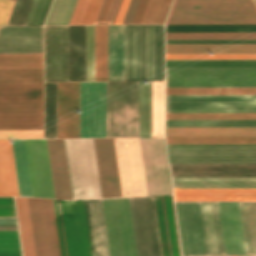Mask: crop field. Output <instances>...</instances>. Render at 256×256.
I'll list each match as a JSON object with an SVG mask.
<instances>
[{"label":"crop field","instance_id":"obj_1","mask_svg":"<svg viewBox=\"0 0 256 256\" xmlns=\"http://www.w3.org/2000/svg\"><path fill=\"white\" fill-rule=\"evenodd\" d=\"M152 199L161 256H181L172 195ZM152 199L129 198L138 256H160Z\"/></svg>","mask_w":256,"mask_h":256},{"label":"crop field","instance_id":"obj_2","mask_svg":"<svg viewBox=\"0 0 256 256\" xmlns=\"http://www.w3.org/2000/svg\"><path fill=\"white\" fill-rule=\"evenodd\" d=\"M0 129H43L42 69L0 70Z\"/></svg>","mask_w":256,"mask_h":256},{"label":"crop field","instance_id":"obj_3","mask_svg":"<svg viewBox=\"0 0 256 256\" xmlns=\"http://www.w3.org/2000/svg\"><path fill=\"white\" fill-rule=\"evenodd\" d=\"M163 80V25L124 26V81Z\"/></svg>","mask_w":256,"mask_h":256},{"label":"crop field","instance_id":"obj_4","mask_svg":"<svg viewBox=\"0 0 256 256\" xmlns=\"http://www.w3.org/2000/svg\"><path fill=\"white\" fill-rule=\"evenodd\" d=\"M166 23H256L252 0H174Z\"/></svg>","mask_w":256,"mask_h":256},{"label":"crop field","instance_id":"obj_5","mask_svg":"<svg viewBox=\"0 0 256 256\" xmlns=\"http://www.w3.org/2000/svg\"><path fill=\"white\" fill-rule=\"evenodd\" d=\"M106 137H138V82H106Z\"/></svg>","mask_w":256,"mask_h":256},{"label":"crop field","instance_id":"obj_6","mask_svg":"<svg viewBox=\"0 0 256 256\" xmlns=\"http://www.w3.org/2000/svg\"><path fill=\"white\" fill-rule=\"evenodd\" d=\"M61 256H93L84 200H53Z\"/></svg>","mask_w":256,"mask_h":256},{"label":"crop field","instance_id":"obj_7","mask_svg":"<svg viewBox=\"0 0 256 256\" xmlns=\"http://www.w3.org/2000/svg\"><path fill=\"white\" fill-rule=\"evenodd\" d=\"M166 87H256V68H166Z\"/></svg>","mask_w":256,"mask_h":256},{"label":"crop field","instance_id":"obj_8","mask_svg":"<svg viewBox=\"0 0 256 256\" xmlns=\"http://www.w3.org/2000/svg\"><path fill=\"white\" fill-rule=\"evenodd\" d=\"M73 199L101 198L92 139H64Z\"/></svg>","mask_w":256,"mask_h":256},{"label":"crop field","instance_id":"obj_9","mask_svg":"<svg viewBox=\"0 0 256 256\" xmlns=\"http://www.w3.org/2000/svg\"><path fill=\"white\" fill-rule=\"evenodd\" d=\"M169 163H256V145H167Z\"/></svg>","mask_w":256,"mask_h":256},{"label":"crop field","instance_id":"obj_10","mask_svg":"<svg viewBox=\"0 0 256 256\" xmlns=\"http://www.w3.org/2000/svg\"><path fill=\"white\" fill-rule=\"evenodd\" d=\"M101 202L110 256H137L128 198Z\"/></svg>","mask_w":256,"mask_h":256},{"label":"crop field","instance_id":"obj_11","mask_svg":"<svg viewBox=\"0 0 256 256\" xmlns=\"http://www.w3.org/2000/svg\"><path fill=\"white\" fill-rule=\"evenodd\" d=\"M166 112H256V95L166 96Z\"/></svg>","mask_w":256,"mask_h":256},{"label":"crop field","instance_id":"obj_12","mask_svg":"<svg viewBox=\"0 0 256 256\" xmlns=\"http://www.w3.org/2000/svg\"><path fill=\"white\" fill-rule=\"evenodd\" d=\"M35 256H60L52 200L27 198Z\"/></svg>","mask_w":256,"mask_h":256},{"label":"crop field","instance_id":"obj_13","mask_svg":"<svg viewBox=\"0 0 256 256\" xmlns=\"http://www.w3.org/2000/svg\"><path fill=\"white\" fill-rule=\"evenodd\" d=\"M80 138L105 137V82L80 83Z\"/></svg>","mask_w":256,"mask_h":256},{"label":"crop field","instance_id":"obj_14","mask_svg":"<svg viewBox=\"0 0 256 256\" xmlns=\"http://www.w3.org/2000/svg\"><path fill=\"white\" fill-rule=\"evenodd\" d=\"M147 194L172 193L164 139H139Z\"/></svg>","mask_w":256,"mask_h":256},{"label":"crop field","instance_id":"obj_15","mask_svg":"<svg viewBox=\"0 0 256 256\" xmlns=\"http://www.w3.org/2000/svg\"><path fill=\"white\" fill-rule=\"evenodd\" d=\"M122 196L146 195L138 139H114Z\"/></svg>","mask_w":256,"mask_h":256},{"label":"crop field","instance_id":"obj_16","mask_svg":"<svg viewBox=\"0 0 256 256\" xmlns=\"http://www.w3.org/2000/svg\"><path fill=\"white\" fill-rule=\"evenodd\" d=\"M32 196L54 198L45 140H24Z\"/></svg>","mask_w":256,"mask_h":256},{"label":"crop field","instance_id":"obj_17","mask_svg":"<svg viewBox=\"0 0 256 256\" xmlns=\"http://www.w3.org/2000/svg\"><path fill=\"white\" fill-rule=\"evenodd\" d=\"M45 81H67V26H45Z\"/></svg>","mask_w":256,"mask_h":256},{"label":"crop field","instance_id":"obj_18","mask_svg":"<svg viewBox=\"0 0 256 256\" xmlns=\"http://www.w3.org/2000/svg\"><path fill=\"white\" fill-rule=\"evenodd\" d=\"M79 83H58V138H79Z\"/></svg>","mask_w":256,"mask_h":256},{"label":"crop field","instance_id":"obj_19","mask_svg":"<svg viewBox=\"0 0 256 256\" xmlns=\"http://www.w3.org/2000/svg\"><path fill=\"white\" fill-rule=\"evenodd\" d=\"M102 198L120 197L113 139H93Z\"/></svg>","mask_w":256,"mask_h":256},{"label":"crop field","instance_id":"obj_20","mask_svg":"<svg viewBox=\"0 0 256 256\" xmlns=\"http://www.w3.org/2000/svg\"><path fill=\"white\" fill-rule=\"evenodd\" d=\"M171 177H256V164H169Z\"/></svg>","mask_w":256,"mask_h":256},{"label":"crop field","instance_id":"obj_21","mask_svg":"<svg viewBox=\"0 0 256 256\" xmlns=\"http://www.w3.org/2000/svg\"><path fill=\"white\" fill-rule=\"evenodd\" d=\"M0 53H42V26L0 27Z\"/></svg>","mask_w":256,"mask_h":256},{"label":"crop field","instance_id":"obj_22","mask_svg":"<svg viewBox=\"0 0 256 256\" xmlns=\"http://www.w3.org/2000/svg\"><path fill=\"white\" fill-rule=\"evenodd\" d=\"M226 255L245 254L238 202H218Z\"/></svg>","mask_w":256,"mask_h":256},{"label":"crop field","instance_id":"obj_23","mask_svg":"<svg viewBox=\"0 0 256 256\" xmlns=\"http://www.w3.org/2000/svg\"><path fill=\"white\" fill-rule=\"evenodd\" d=\"M46 143L55 198L72 199L63 139Z\"/></svg>","mask_w":256,"mask_h":256},{"label":"crop field","instance_id":"obj_24","mask_svg":"<svg viewBox=\"0 0 256 256\" xmlns=\"http://www.w3.org/2000/svg\"><path fill=\"white\" fill-rule=\"evenodd\" d=\"M175 201H256V189H173Z\"/></svg>","mask_w":256,"mask_h":256},{"label":"crop field","instance_id":"obj_25","mask_svg":"<svg viewBox=\"0 0 256 256\" xmlns=\"http://www.w3.org/2000/svg\"><path fill=\"white\" fill-rule=\"evenodd\" d=\"M207 255H225L217 202H199Z\"/></svg>","mask_w":256,"mask_h":256},{"label":"crop field","instance_id":"obj_26","mask_svg":"<svg viewBox=\"0 0 256 256\" xmlns=\"http://www.w3.org/2000/svg\"><path fill=\"white\" fill-rule=\"evenodd\" d=\"M189 256L206 255L198 202H181Z\"/></svg>","mask_w":256,"mask_h":256},{"label":"crop field","instance_id":"obj_27","mask_svg":"<svg viewBox=\"0 0 256 256\" xmlns=\"http://www.w3.org/2000/svg\"><path fill=\"white\" fill-rule=\"evenodd\" d=\"M94 256H109L100 199L85 200Z\"/></svg>","mask_w":256,"mask_h":256},{"label":"crop field","instance_id":"obj_28","mask_svg":"<svg viewBox=\"0 0 256 256\" xmlns=\"http://www.w3.org/2000/svg\"><path fill=\"white\" fill-rule=\"evenodd\" d=\"M173 188H256V178H171Z\"/></svg>","mask_w":256,"mask_h":256},{"label":"crop field","instance_id":"obj_29","mask_svg":"<svg viewBox=\"0 0 256 256\" xmlns=\"http://www.w3.org/2000/svg\"><path fill=\"white\" fill-rule=\"evenodd\" d=\"M108 81H123V26H108Z\"/></svg>","mask_w":256,"mask_h":256},{"label":"crop field","instance_id":"obj_30","mask_svg":"<svg viewBox=\"0 0 256 256\" xmlns=\"http://www.w3.org/2000/svg\"><path fill=\"white\" fill-rule=\"evenodd\" d=\"M10 140H0V196H19Z\"/></svg>","mask_w":256,"mask_h":256},{"label":"crop field","instance_id":"obj_31","mask_svg":"<svg viewBox=\"0 0 256 256\" xmlns=\"http://www.w3.org/2000/svg\"><path fill=\"white\" fill-rule=\"evenodd\" d=\"M166 53H256V44H166Z\"/></svg>","mask_w":256,"mask_h":256},{"label":"crop field","instance_id":"obj_32","mask_svg":"<svg viewBox=\"0 0 256 256\" xmlns=\"http://www.w3.org/2000/svg\"><path fill=\"white\" fill-rule=\"evenodd\" d=\"M172 0H140L131 24L164 23Z\"/></svg>","mask_w":256,"mask_h":256},{"label":"crop field","instance_id":"obj_33","mask_svg":"<svg viewBox=\"0 0 256 256\" xmlns=\"http://www.w3.org/2000/svg\"><path fill=\"white\" fill-rule=\"evenodd\" d=\"M166 136H256V128H166Z\"/></svg>","mask_w":256,"mask_h":256},{"label":"crop field","instance_id":"obj_34","mask_svg":"<svg viewBox=\"0 0 256 256\" xmlns=\"http://www.w3.org/2000/svg\"><path fill=\"white\" fill-rule=\"evenodd\" d=\"M246 254H256V202H239Z\"/></svg>","mask_w":256,"mask_h":256},{"label":"crop field","instance_id":"obj_35","mask_svg":"<svg viewBox=\"0 0 256 256\" xmlns=\"http://www.w3.org/2000/svg\"><path fill=\"white\" fill-rule=\"evenodd\" d=\"M95 81H107V26H95Z\"/></svg>","mask_w":256,"mask_h":256},{"label":"crop field","instance_id":"obj_36","mask_svg":"<svg viewBox=\"0 0 256 256\" xmlns=\"http://www.w3.org/2000/svg\"><path fill=\"white\" fill-rule=\"evenodd\" d=\"M139 137H151V82H139Z\"/></svg>","mask_w":256,"mask_h":256},{"label":"crop field","instance_id":"obj_37","mask_svg":"<svg viewBox=\"0 0 256 256\" xmlns=\"http://www.w3.org/2000/svg\"><path fill=\"white\" fill-rule=\"evenodd\" d=\"M166 127H256V120H166Z\"/></svg>","mask_w":256,"mask_h":256},{"label":"crop field","instance_id":"obj_38","mask_svg":"<svg viewBox=\"0 0 256 256\" xmlns=\"http://www.w3.org/2000/svg\"><path fill=\"white\" fill-rule=\"evenodd\" d=\"M166 67H256V60H166Z\"/></svg>","mask_w":256,"mask_h":256},{"label":"crop field","instance_id":"obj_39","mask_svg":"<svg viewBox=\"0 0 256 256\" xmlns=\"http://www.w3.org/2000/svg\"><path fill=\"white\" fill-rule=\"evenodd\" d=\"M167 144H256V137H166Z\"/></svg>","mask_w":256,"mask_h":256},{"label":"crop field","instance_id":"obj_40","mask_svg":"<svg viewBox=\"0 0 256 256\" xmlns=\"http://www.w3.org/2000/svg\"><path fill=\"white\" fill-rule=\"evenodd\" d=\"M20 196H31L23 140H12Z\"/></svg>","mask_w":256,"mask_h":256},{"label":"crop field","instance_id":"obj_41","mask_svg":"<svg viewBox=\"0 0 256 256\" xmlns=\"http://www.w3.org/2000/svg\"><path fill=\"white\" fill-rule=\"evenodd\" d=\"M15 199L17 204L23 254L24 256H34L27 201L24 197H18Z\"/></svg>","mask_w":256,"mask_h":256},{"label":"crop field","instance_id":"obj_42","mask_svg":"<svg viewBox=\"0 0 256 256\" xmlns=\"http://www.w3.org/2000/svg\"><path fill=\"white\" fill-rule=\"evenodd\" d=\"M152 137H163V82H152Z\"/></svg>","mask_w":256,"mask_h":256},{"label":"crop field","instance_id":"obj_43","mask_svg":"<svg viewBox=\"0 0 256 256\" xmlns=\"http://www.w3.org/2000/svg\"><path fill=\"white\" fill-rule=\"evenodd\" d=\"M42 68V54H0V69Z\"/></svg>","mask_w":256,"mask_h":256},{"label":"crop field","instance_id":"obj_44","mask_svg":"<svg viewBox=\"0 0 256 256\" xmlns=\"http://www.w3.org/2000/svg\"><path fill=\"white\" fill-rule=\"evenodd\" d=\"M256 94V88H166V95Z\"/></svg>","mask_w":256,"mask_h":256},{"label":"crop field","instance_id":"obj_45","mask_svg":"<svg viewBox=\"0 0 256 256\" xmlns=\"http://www.w3.org/2000/svg\"><path fill=\"white\" fill-rule=\"evenodd\" d=\"M102 0H78L69 24H93Z\"/></svg>","mask_w":256,"mask_h":256},{"label":"crop field","instance_id":"obj_46","mask_svg":"<svg viewBox=\"0 0 256 256\" xmlns=\"http://www.w3.org/2000/svg\"><path fill=\"white\" fill-rule=\"evenodd\" d=\"M77 0H54L45 25L68 24Z\"/></svg>","mask_w":256,"mask_h":256},{"label":"crop field","instance_id":"obj_47","mask_svg":"<svg viewBox=\"0 0 256 256\" xmlns=\"http://www.w3.org/2000/svg\"><path fill=\"white\" fill-rule=\"evenodd\" d=\"M166 39H256V33H166Z\"/></svg>","mask_w":256,"mask_h":256},{"label":"crop field","instance_id":"obj_48","mask_svg":"<svg viewBox=\"0 0 256 256\" xmlns=\"http://www.w3.org/2000/svg\"><path fill=\"white\" fill-rule=\"evenodd\" d=\"M0 256H21L18 231H0Z\"/></svg>","mask_w":256,"mask_h":256},{"label":"crop field","instance_id":"obj_49","mask_svg":"<svg viewBox=\"0 0 256 256\" xmlns=\"http://www.w3.org/2000/svg\"><path fill=\"white\" fill-rule=\"evenodd\" d=\"M122 0H103L94 24H113Z\"/></svg>","mask_w":256,"mask_h":256},{"label":"crop field","instance_id":"obj_50","mask_svg":"<svg viewBox=\"0 0 256 256\" xmlns=\"http://www.w3.org/2000/svg\"><path fill=\"white\" fill-rule=\"evenodd\" d=\"M166 119H256V114H166Z\"/></svg>","mask_w":256,"mask_h":256},{"label":"crop field","instance_id":"obj_51","mask_svg":"<svg viewBox=\"0 0 256 256\" xmlns=\"http://www.w3.org/2000/svg\"><path fill=\"white\" fill-rule=\"evenodd\" d=\"M166 59H256V54H166Z\"/></svg>","mask_w":256,"mask_h":256},{"label":"crop field","instance_id":"obj_52","mask_svg":"<svg viewBox=\"0 0 256 256\" xmlns=\"http://www.w3.org/2000/svg\"><path fill=\"white\" fill-rule=\"evenodd\" d=\"M52 0H34L25 25H43Z\"/></svg>","mask_w":256,"mask_h":256},{"label":"crop field","instance_id":"obj_53","mask_svg":"<svg viewBox=\"0 0 256 256\" xmlns=\"http://www.w3.org/2000/svg\"><path fill=\"white\" fill-rule=\"evenodd\" d=\"M87 81H94V26H86Z\"/></svg>","mask_w":256,"mask_h":256},{"label":"crop field","instance_id":"obj_54","mask_svg":"<svg viewBox=\"0 0 256 256\" xmlns=\"http://www.w3.org/2000/svg\"><path fill=\"white\" fill-rule=\"evenodd\" d=\"M43 138V130H0V139Z\"/></svg>","mask_w":256,"mask_h":256},{"label":"crop field","instance_id":"obj_55","mask_svg":"<svg viewBox=\"0 0 256 256\" xmlns=\"http://www.w3.org/2000/svg\"><path fill=\"white\" fill-rule=\"evenodd\" d=\"M183 256H188L180 202H175Z\"/></svg>","mask_w":256,"mask_h":256},{"label":"crop field","instance_id":"obj_56","mask_svg":"<svg viewBox=\"0 0 256 256\" xmlns=\"http://www.w3.org/2000/svg\"><path fill=\"white\" fill-rule=\"evenodd\" d=\"M166 43H256V40H166Z\"/></svg>","mask_w":256,"mask_h":256},{"label":"crop field","instance_id":"obj_57","mask_svg":"<svg viewBox=\"0 0 256 256\" xmlns=\"http://www.w3.org/2000/svg\"><path fill=\"white\" fill-rule=\"evenodd\" d=\"M13 3L11 0H0V25L7 24Z\"/></svg>","mask_w":256,"mask_h":256},{"label":"crop field","instance_id":"obj_58","mask_svg":"<svg viewBox=\"0 0 256 256\" xmlns=\"http://www.w3.org/2000/svg\"><path fill=\"white\" fill-rule=\"evenodd\" d=\"M139 0H131L122 24H130Z\"/></svg>","mask_w":256,"mask_h":256},{"label":"crop field","instance_id":"obj_59","mask_svg":"<svg viewBox=\"0 0 256 256\" xmlns=\"http://www.w3.org/2000/svg\"><path fill=\"white\" fill-rule=\"evenodd\" d=\"M0 230H18L16 219H0Z\"/></svg>","mask_w":256,"mask_h":256},{"label":"crop field","instance_id":"obj_60","mask_svg":"<svg viewBox=\"0 0 256 256\" xmlns=\"http://www.w3.org/2000/svg\"><path fill=\"white\" fill-rule=\"evenodd\" d=\"M130 0H123L114 24H121Z\"/></svg>","mask_w":256,"mask_h":256},{"label":"crop field","instance_id":"obj_61","mask_svg":"<svg viewBox=\"0 0 256 256\" xmlns=\"http://www.w3.org/2000/svg\"><path fill=\"white\" fill-rule=\"evenodd\" d=\"M0 218H16L15 208H0Z\"/></svg>","mask_w":256,"mask_h":256},{"label":"crop field","instance_id":"obj_62","mask_svg":"<svg viewBox=\"0 0 256 256\" xmlns=\"http://www.w3.org/2000/svg\"><path fill=\"white\" fill-rule=\"evenodd\" d=\"M0 207H15L13 198H0Z\"/></svg>","mask_w":256,"mask_h":256},{"label":"crop field","instance_id":"obj_63","mask_svg":"<svg viewBox=\"0 0 256 256\" xmlns=\"http://www.w3.org/2000/svg\"><path fill=\"white\" fill-rule=\"evenodd\" d=\"M255 1V3H256V0H254Z\"/></svg>","mask_w":256,"mask_h":256}]
</instances>
